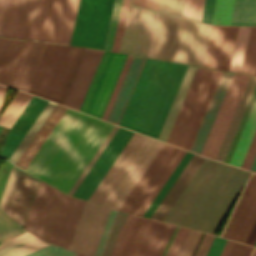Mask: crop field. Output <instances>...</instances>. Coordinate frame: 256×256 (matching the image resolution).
<instances>
[{
    "mask_svg": "<svg viewBox=\"0 0 256 256\" xmlns=\"http://www.w3.org/2000/svg\"><path fill=\"white\" fill-rule=\"evenodd\" d=\"M112 128L67 108L25 170L67 194Z\"/></svg>",
    "mask_w": 256,
    "mask_h": 256,
    "instance_id": "1",
    "label": "crop field"
},
{
    "mask_svg": "<svg viewBox=\"0 0 256 256\" xmlns=\"http://www.w3.org/2000/svg\"><path fill=\"white\" fill-rule=\"evenodd\" d=\"M249 175L205 158L164 221L214 234Z\"/></svg>",
    "mask_w": 256,
    "mask_h": 256,
    "instance_id": "2",
    "label": "crop field"
},
{
    "mask_svg": "<svg viewBox=\"0 0 256 256\" xmlns=\"http://www.w3.org/2000/svg\"><path fill=\"white\" fill-rule=\"evenodd\" d=\"M187 67L147 58L119 125L156 139Z\"/></svg>",
    "mask_w": 256,
    "mask_h": 256,
    "instance_id": "3",
    "label": "crop field"
},
{
    "mask_svg": "<svg viewBox=\"0 0 256 256\" xmlns=\"http://www.w3.org/2000/svg\"><path fill=\"white\" fill-rule=\"evenodd\" d=\"M103 51L86 49L64 105L79 109ZM128 55L104 51L80 111L101 117Z\"/></svg>",
    "mask_w": 256,
    "mask_h": 256,
    "instance_id": "4",
    "label": "crop field"
},
{
    "mask_svg": "<svg viewBox=\"0 0 256 256\" xmlns=\"http://www.w3.org/2000/svg\"><path fill=\"white\" fill-rule=\"evenodd\" d=\"M84 203L41 182L24 228L44 241L68 248Z\"/></svg>",
    "mask_w": 256,
    "mask_h": 256,
    "instance_id": "5",
    "label": "crop field"
},
{
    "mask_svg": "<svg viewBox=\"0 0 256 256\" xmlns=\"http://www.w3.org/2000/svg\"><path fill=\"white\" fill-rule=\"evenodd\" d=\"M210 27L159 12L149 57L201 66Z\"/></svg>",
    "mask_w": 256,
    "mask_h": 256,
    "instance_id": "6",
    "label": "crop field"
},
{
    "mask_svg": "<svg viewBox=\"0 0 256 256\" xmlns=\"http://www.w3.org/2000/svg\"><path fill=\"white\" fill-rule=\"evenodd\" d=\"M85 49L48 43L27 92L62 104Z\"/></svg>",
    "mask_w": 256,
    "mask_h": 256,
    "instance_id": "7",
    "label": "crop field"
},
{
    "mask_svg": "<svg viewBox=\"0 0 256 256\" xmlns=\"http://www.w3.org/2000/svg\"><path fill=\"white\" fill-rule=\"evenodd\" d=\"M46 44L0 37V82L27 90Z\"/></svg>",
    "mask_w": 256,
    "mask_h": 256,
    "instance_id": "8",
    "label": "crop field"
},
{
    "mask_svg": "<svg viewBox=\"0 0 256 256\" xmlns=\"http://www.w3.org/2000/svg\"><path fill=\"white\" fill-rule=\"evenodd\" d=\"M114 0H80L71 45L103 49Z\"/></svg>",
    "mask_w": 256,
    "mask_h": 256,
    "instance_id": "9",
    "label": "crop field"
},
{
    "mask_svg": "<svg viewBox=\"0 0 256 256\" xmlns=\"http://www.w3.org/2000/svg\"><path fill=\"white\" fill-rule=\"evenodd\" d=\"M79 0H41L32 40L69 44Z\"/></svg>",
    "mask_w": 256,
    "mask_h": 256,
    "instance_id": "10",
    "label": "crop field"
},
{
    "mask_svg": "<svg viewBox=\"0 0 256 256\" xmlns=\"http://www.w3.org/2000/svg\"><path fill=\"white\" fill-rule=\"evenodd\" d=\"M39 182L40 180L13 166L0 200L1 211L23 226Z\"/></svg>",
    "mask_w": 256,
    "mask_h": 256,
    "instance_id": "11",
    "label": "crop field"
},
{
    "mask_svg": "<svg viewBox=\"0 0 256 256\" xmlns=\"http://www.w3.org/2000/svg\"><path fill=\"white\" fill-rule=\"evenodd\" d=\"M214 71L200 67L197 68L166 141L167 143L183 147Z\"/></svg>",
    "mask_w": 256,
    "mask_h": 256,
    "instance_id": "12",
    "label": "crop field"
},
{
    "mask_svg": "<svg viewBox=\"0 0 256 256\" xmlns=\"http://www.w3.org/2000/svg\"><path fill=\"white\" fill-rule=\"evenodd\" d=\"M157 14L130 5L119 52L148 57Z\"/></svg>",
    "mask_w": 256,
    "mask_h": 256,
    "instance_id": "13",
    "label": "crop field"
},
{
    "mask_svg": "<svg viewBox=\"0 0 256 256\" xmlns=\"http://www.w3.org/2000/svg\"><path fill=\"white\" fill-rule=\"evenodd\" d=\"M179 152L164 144L119 209L136 214Z\"/></svg>",
    "mask_w": 256,
    "mask_h": 256,
    "instance_id": "14",
    "label": "crop field"
},
{
    "mask_svg": "<svg viewBox=\"0 0 256 256\" xmlns=\"http://www.w3.org/2000/svg\"><path fill=\"white\" fill-rule=\"evenodd\" d=\"M249 77L234 75L200 154L215 158Z\"/></svg>",
    "mask_w": 256,
    "mask_h": 256,
    "instance_id": "15",
    "label": "crop field"
},
{
    "mask_svg": "<svg viewBox=\"0 0 256 256\" xmlns=\"http://www.w3.org/2000/svg\"><path fill=\"white\" fill-rule=\"evenodd\" d=\"M109 210L86 202L68 249L93 256Z\"/></svg>",
    "mask_w": 256,
    "mask_h": 256,
    "instance_id": "16",
    "label": "crop field"
},
{
    "mask_svg": "<svg viewBox=\"0 0 256 256\" xmlns=\"http://www.w3.org/2000/svg\"><path fill=\"white\" fill-rule=\"evenodd\" d=\"M256 219V175L248 181L222 236L245 242Z\"/></svg>",
    "mask_w": 256,
    "mask_h": 256,
    "instance_id": "17",
    "label": "crop field"
},
{
    "mask_svg": "<svg viewBox=\"0 0 256 256\" xmlns=\"http://www.w3.org/2000/svg\"><path fill=\"white\" fill-rule=\"evenodd\" d=\"M162 144L163 142L148 138L103 205L118 209Z\"/></svg>",
    "mask_w": 256,
    "mask_h": 256,
    "instance_id": "18",
    "label": "crop field"
},
{
    "mask_svg": "<svg viewBox=\"0 0 256 256\" xmlns=\"http://www.w3.org/2000/svg\"><path fill=\"white\" fill-rule=\"evenodd\" d=\"M132 135L133 132L119 127L73 196L87 200Z\"/></svg>",
    "mask_w": 256,
    "mask_h": 256,
    "instance_id": "19",
    "label": "crop field"
},
{
    "mask_svg": "<svg viewBox=\"0 0 256 256\" xmlns=\"http://www.w3.org/2000/svg\"><path fill=\"white\" fill-rule=\"evenodd\" d=\"M237 28L212 25L202 66L228 71Z\"/></svg>",
    "mask_w": 256,
    "mask_h": 256,
    "instance_id": "20",
    "label": "crop field"
},
{
    "mask_svg": "<svg viewBox=\"0 0 256 256\" xmlns=\"http://www.w3.org/2000/svg\"><path fill=\"white\" fill-rule=\"evenodd\" d=\"M146 140L147 137L134 133L91 196L88 198L89 201L102 204Z\"/></svg>",
    "mask_w": 256,
    "mask_h": 256,
    "instance_id": "21",
    "label": "crop field"
},
{
    "mask_svg": "<svg viewBox=\"0 0 256 256\" xmlns=\"http://www.w3.org/2000/svg\"><path fill=\"white\" fill-rule=\"evenodd\" d=\"M46 104L47 101L33 96L6 137L5 144L0 150L1 156L8 159Z\"/></svg>",
    "mask_w": 256,
    "mask_h": 256,
    "instance_id": "22",
    "label": "crop field"
},
{
    "mask_svg": "<svg viewBox=\"0 0 256 256\" xmlns=\"http://www.w3.org/2000/svg\"><path fill=\"white\" fill-rule=\"evenodd\" d=\"M233 75L234 74L231 73H222L193 145L190 149L191 151L198 154L200 153Z\"/></svg>",
    "mask_w": 256,
    "mask_h": 256,
    "instance_id": "23",
    "label": "crop field"
},
{
    "mask_svg": "<svg viewBox=\"0 0 256 256\" xmlns=\"http://www.w3.org/2000/svg\"><path fill=\"white\" fill-rule=\"evenodd\" d=\"M145 59L146 58L143 57H133L122 85L112 105V108L109 112V115L106 119L107 121L117 125L119 124Z\"/></svg>",
    "mask_w": 256,
    "mask_h": 256,
    "instance_id": "24",
    "label": "crop field"
},
{
    "mask_svg": "<svg viewBox=\"0 0 256 256\" xmlns=\"http://www.w3.org/2000/svg\"><path fill=\"white\" fill-rule=\"evenodd\" d=\"M203 160L204 157L194 154L151 216L152 219L163 221Z\"/></svg>",
    "mask_w": 256,
    "mask_h": 256,
    "instance_id": "25",
    "label": "crop field"
},
{
    "mask_svg": "<svg viewBox=\"0 0 256 256\" xmlns=\"http://www.w3.org/2000/svg\"><path fill=\"white\" fill-rule=\"evenodd\" d=\"M65 110L66 107L56 105L19 160L16 162V165L25 169Z\"/></svg>",
    "mask_w": 256,
    "mask_h": 256,
    "instance_id": "26",
    "label": "crop field"
},
{
    "mask_svg": "<svg viewBox=\"0 0 256 256\" xmlns=\"http://www.w3.org/2000/svg\"><path fill=\"white\" fill-rule=\"evenodd\" d=\"M47 245L49 244L25 231L22 234L0 244V256H18L37 251Z\"/></svg>",
    "mask_w": 256,
    "mask_h": 256,
    "instance_id": "27",
    "label": "crop field"
},
{
    "mask_svg": "<svg viewBox=\"0 0 256 256\" xmlns=\"http://www.w3.org/2000/svg\"><path fill=\"white\" fill-rule=\"evenodd\" d=\"M255 85L256 77L251 76L215 159L224 160Z\"/></svg>",
    "mask_w": 256,
    "mask_h": 256,
    "instance_id": "28",
    "label": "crop field"
},
{
    "mask_svg": "<svg viewBox=\"0 0 256 256\" xmlns=\"http://www.w3.org/2000/svg\"><path fill=\"white\" fill-rule=\"evenodd\" d=\"M169 227L170 224L152 220L139 244L135 256H155L157 248Z\"/></svg>",
    "mask_w": 256,
    "mask_h": 256,
    "instance_id": "29",
    "label": "crop field"
},
{
    "mask_svg": "<svg viewBox=\"0 0 256 256\" xmlns=\"http://www.w3.org/2000/svg\"><path fill=\"white\" fill-rule=\"evenodd\" d=\"M197 67L189 66L157 139L166 141Z\"/></svg>",
    "mask_w": 256,
    "mask_h": 256,
    "instance_id": "30",
    "label": "crop field"
},
{
    "mask_svg": "<svg viewBox=\"0 0 256 256\" xmlns=\"http://www.w3.org/2000/svg\"><path fill=\"white\" fill-rule=\"evenodd\" d=\"M255 131H256V102L248 118V121L244 127V130L241 134V137L238 141V144L235 148L232 158L229 162L230 164H233L239 167L241 166Z\"/></svg>",
    "mask_w": 256,
    "mask_h": 256,
    "instance_id": "31",
    "label": "crop field"
},
{
    "mask_svg": "<svg viewBox=\"0 0 256 256\" xmlns=\"http://www.w3.org/2000/svg\"><path fill=\"white\" fill-rule=\"evenodd\" d=\"M40 0H25L16 38L31 40Z\"/></svg>",
    "mask_w": 256,
    "mask_h": 256,
    "instance_id": "32",
    "label": "crop field"
},
{
    "mask_svg": "<svg viewBox=\"0 0 256 256\" xmlns=\"http://www.w3.org/2000/svg\"><path fill=\"white\" fill-rule=\"evenodd\" d=\"M231 24H256V0H234Z\"/></svg>",
    "mask_w": 256,
    "mask_h": 256,
    "instance_id": "33",
    "label": "crop field"
},
{
    "mask_svg": "<svg viewBox=\"0 0 256 256\" xmlns=\"http://www.w3.org/2000/svg\"><path fill=\"white\" fill-rule=\"evenodd\" d=\"M151 220L137 217L124 245L120 256H134L138 244L149 226Z\"/></svg>",
    "mask_w": 256,
    "mask_h": 256,
    "instance_id": "34",
    "label": "crop field"
},
{
    "mask_svg": "<svg viewBox=\"0 0 256 256\" xmlns=\"http://www.w3.org/2000/svg\"><path fill=\"white\" fill-rule=\"evenodd\" d=\"M24 0H9L1 36L15 38Z\"/></svg>",
    "mask_w": 256,
    "mask_h": 256,
    "instance_id": "35",
    "label": "crop field"
},
{
    "mask_svg": "<svg viewBox=\"0 0 256 256\" xmlns=\"http://www.w3.org/2000/svg\"><path fill=\"white\" fill-rule=\"evenodd\" d=\"M52 103L48 102V104L45 106V108L43 109L41 114L38 116L36 121L33 123L31 128L29 129V131L26 133L24 138L21 140L19 145L16 147V149L14 150L12 155L9 157L8 160H10L12 163L15 164V162L20 157V155L22 154L24 149L27 147V145L29 144L31 139L34 137V135L36 134L38 129L41 127V125L43 124L45 119L48 117V115L50 114L52 109L55 107V104H52Z\"/></svg>",
    "mask_w": 256,
    "mask_h": 256,
    "instance_id": "36",
    "label": "crop field"
},
{
    "mask_svg": "<svg viewBox=\"0 0 256 256\" xmlns=\"http://www.w3.org/2000/svg\"><path fill=\"white\" fill-rule=\"evenodd\" d=\"M221 71H215V73H214V75H213V78H212V80H211V83H210V85H209V87H208V90H207V92H206V95H205V97H204V99H203V102H202V104H201V107H200V109H199V111H198V114H197V116H196V119H195V121H194V123H193V126H192V128H191V131H190V133H189V135H188V138H187V140H186V143H185V145H184V149H190V147H191V145H192V142H193V140H194V137H195V135H196V133H197V130H198V128H199V125H200V123H201V121H202V118H203V116H204V113H205V111H206V109H207V106H208V104H209V101H210V99H211V97H212V94H213V92H214V89H215V87H216V85H217V82H218V80H219V77H220V75H221Z\"/></svg>",
    "mask_w": 256,
    "mask_h": 256,
    "instance_id": "37",
    "label": "crop field"
},
{
    "mask_svg": "<svg viewBox=\"0 0 256 256\" xmlns=\"http://www.w3.org/2000/svg\"><path fill=\"white\" fill-rule=\"evenodd\" d=\"M30 99L31 96L18 92L0 117V125L10 128Z\"/></svg>",
    "mask_w": 256,
    "mask_h": 256,
    "instance_id": "38",
    "label": "crop field"
},
{
    "mask_svg": "<svg viewBox=\"0 0 256 256\" xmlns=\"http://www.w3.org/2000/svg\"><path fill=\"white\" fill-rule=\"evenodd\" d=\"M250 27L239 26L229 71L239 73Z\"/></svg>",
    "mask_w": 256,
    "mask_h": 256,
    "instance_id": "39",
    "label": "crop field"
},
{
    "mask_svg": "<svg viewBox=\"0 0 256 256\" xmlns=\"http://www.w3.org/2000/svg\"><path fill=\"white\" fill-rule=\"evenodd\" d=\"M256 65V27H251L240 73H254Z\"/></svg>",
    "mask_w": 256,
    "mask_h": 256,
    "instance_id": "40",
    "label": "crop field"
},
{
    "mask_svg": "<svg viewBox=\"0 0 256 256\" xmlns=\"http://www.w3.org/2000/svg\"><path fill=\"white\" fill-rule=\"evenodd\" d=\"M192 156H193V153L187 152V154L184 156V158L182 159L180 164L177 166L175 171L172 173L170 178L167 180V182L165 183L163 188L160 190L158 195L155 197L153 202L150 204V206L148 207L146 212L143 214L144 217L150 218V216L152 215V213L154 212V210L156 209V207L158 206V204L160 203V201L162 200V198L164 197V195L166 194V192L168 191L170 186L173 184V182L175 181L177 176L180 174V172L182 171V169L185 167V165L188 163V161L190 160V158Z\"/></svg>",
    "mask_w": 256,
    "mask_h": 256,
    "instance_id": "41",
    "label": "crop field"
},
{
    "mask_svg": "<svg viewBox=\"0 0 256 256\" xmlns=\"http://www.w3.org/2000/svg\"><path fill=\"white\" fill-rule=\"evenodd\" d=\"M233 0H215L213 24H230Z\"/></svg>",
    "mask_w": 256,
    "mask_h": 256,
    "instance_id": "42",
    "label": "crop field"
},
{
    "mask_svg": "<svg viewBox=\"0 0 256 256\" xmlns=\"http://www.w3.org/2000/svg\"><path fill=\"white\" fill-rule=\"evenodd\" d=\"M186 151L181 150V152L178 154V156L176 157V159L174 160V162L171 164V166L169 167V169L166 171V173L164 174V176L161 178V180L159 181V183L157 184V186L154 188V190L152 191V193L149 195V197L147 198V200L145 201V203L142 205V207L140 208V210L138 211L137 215L142 216V214L145 212V210L147 209V207L149 206V204L152 202V200L154 199V197L157 195V193L159 192V190L162 188V186L164 185V183L166 182V180L169 178V176L171 175V173L174 171V169L176 168V166L179 164V162L181 161V159L183 158V156L185 155Z\"/></svg>",
    "mask_w": 256,
    "mask_h": 256,
    "instance_id": "43",
    "label": "crop field"
},
{
    "mask_svg": "<svg viewBox=\"0 0 256 256\" xmlns=\"http://www.w3.org/2000/svg\"><path fill=\"white\" fill-rule=\"evenodd\" d=\"M202 234V232L189 229L177 256H192Z\"/></svg>",
    "mask_w": 256,
    "mask_h": 256,
    "instance_id": "44",
    "label": "crop field"
},
{
    "mask_svg": "<svg viewBox=\"0 0 256 256\" xmlns=\"http://www.w3.org/2000/svg\"><path fill=\"white\" fill-rule=\"evenodd\" d=\"M123 0H115L114 7H113V12L110 20V25L108 29V34L106 38V43H105V50L111 51L113 41H114V36L117 28V23L121 11V6H122Z\"/></svg>",
    "mask_w": 256,
    "mask_h": 256,
    "instance_id": "45",
    "label": "crop field"
},
{
    "mask_svg": "<svg viewBox=\"0 0 256 256\" xmlns=\"http://www.w3.org/2000/svg\"><path fill=\"white\" fill-rule=\"evenodd\" d=\"M126 216H127V213L118 211L102 256H110V253L112 251L113 245L116 240V237L118 235V232H119Z\"/></svg>",
    "mask_w": 256,
    "mask_h": 256,
    "instance_id": "46",
    "label": "crop field"
},
{
    "mask_svg": "<svg viewBox=\"0 0 256 256\" xmlns=\"http://www.w3.org/2000/svg\"><path fill=\"white\" fill-rule=\"evenodd\" d=\"M203 3L204 0H184L182 16L201 21Z\"/></svg>",
    "mask_w": 256,
    "mask_h": 256,
    "instance_id": "47",
    "label": "crop field"
},
{
    "mask_svg": "<svg viewBox=\"0 0 256 256\" xmlns=\"http://www.w3.org/2000/svg\"><path fill=\"white\" fill-rule=\"evenodd\" d=\"M255 100H256V87H255L254 92L252 94V97H251V99L249 101V104H248V106L246 108V111H245V113L243 115V118H242L241 123H240V125L238 127V130H237V132L235 134V137H234V139L232 141V144H231L230 149H229V151L227 153V156H226V158L224 160L227 163L229 162V160L231 158V155H232V153L234 151V148H235V146L237 144V141H238V139L240 137V134H241V132L243 130V127H244V125L246 123V120H247V118H248V116L250 114V111H251V109L253 107V104H254Z\"/></svg>",
    "mask_w": 256,
    "mask_h": 256,
    "instance_id": "48",
    "label": "crop field"
},
{
    "mask_svg": "<svg viewBox=\"0 0 256 256\" xmlns=\"http://www.w3.org/2000/svg\"><path fill=\"white\" fill-rule=\"evenodd\" d=\"M135 219H136V216L130 215V214L128 215V217H127V219L117 237L116 243H115L113 251L111 253V256H119V253H120V250L124 243V240H125L127 234L129 233Z\"/></svg>",
    "mask_w": 256,
    "mask_h": 256,
    "instance_id": "49",
    "label": "crop field"
},
{
    "mask_svg": "<svg viewBox=\"0 0 256 256\" xmlns=\"http://www.w3.org/2000/svg\"><path fill=\"white\" fill-rule=\"evenodd\" d=\"M118 129L117 126H114V128L112 129V131L109 133V135L107 136V138L105 139V141L102 143V145L100 146V148L98 149V151L96 152V154L93 156V158L91 159V161L89 162V164L86 166V168L84 169V171L82 172V174L80 175V177L77 179V181L75 182V184L73 185V187L70 189V191L68 192V195H72V193L74 192V190L77 188V186L79 185V183L81 182V180L84 178V176L86 175V173L88 172V170L90 169V167L93 165V163L95 162V160L97 159V157L100 155V153L102 152V150L104 149V147L106 146V144L109 142V140L111 139V137L113 136V134L116 132V130Z\"/></svg>",
    "mask_w": 256,
    "mask_h": 256,
    "instance_id": "50",
    "label": "crop field"
},
{
    "mask_svg": "<svg viewBox=\"0 0 256 256\" xmlns=\"http://www.w3.org/2000/svg\"><path fill=\"white\" fill-rule=\"evenodd\" d=\"M116 212L117 211L114 210V209L110 210V213H109L107 221L105 223V226H104L103 232L101 234L99 243L97 245L96 251L94 253V256H101L103 248H104V245H105V242H106L108 234H109V231L111 229L114 217L116 215Z\"/></svg>",
    "mask_w": 256,
    "mask_h": 256,
    "instance_id": "51",
    "label": "crop field"
},
{
    "mask_svg": "<svg viewBox=\"0 0 256 256\" xmlns=\"http://www.w3.org/2000/svg\"><path fill=\"white\" fill-rule=\"evenodd\" d=\"M130 0H124L112 51L118 52Z\"/></svg>",
    "mask_w": 256,
    "mask_h": 256,
    "instance_id": "52",
    "label": "crop field"
},
{
    "mask_svg": "<svg viewBox=\"0 0 256 256\" xmlns=\"http://www.w3.org/2000/svg\"><path fill=\"white\" fill-rule=\"evenodd\" d=\"M183 0H161L159 10L181 16Z\"/></svg>",
    "mask_w": 256,
    "mask_h": 256,
    "instance_id": "53",
    "label": "crop field"
},
{
    "mask_svg": "<svg viewBox=\"0 0 256 256\" xmlns=\"http://www.w3.org/2000/svg\"><path fill=\"white\" fill-rule=\"evenodd\" d=\"M37 253L39 256H73L78 254L55 245H50L43 248L37 251Z\"/></svg>",
    "mask_w": 256,
    "mask_h": 256,
    "instance_id": "54",
    "label": "crop field"
},
{
    "mask_svg": "<svg viewBox=\"0 0 256 256\" xmlns=\"http://www.w3.org/2000/svg\"><path fill=\"white\" fill-rule=\"evenodd\" d=\"M132 57H133V56L129 55L128 58H127V60H126V63H125V65H124V67H123V70H122V72H121V74H120V77H119V79H118V81H117V84H116V86H115V88H114V91H113V93H112V95H111V98H110V100H109V102H108V105H107V107H106V109H105V112H104V114H103V116H102V119H104V120L106 119V117H107V115H108V112H109V110H110V108H111V105H112V103H113V101H114V98H115V96H116V94H117V91H118L120 85H121V82H122V80H123V78H124V75H125V73H126V71H127V68H128V66H129V64H130V61H131Z\"/></svg>",
    "mask_w": 256,
    "mask_h": 256,
    "instance_id": "55",
    "label": "crop field"
},
{
    "mask_svg": "<svg viewBox=\"0 0 256 256\" xmlns=\"http://www.w3.org/2000/svg\"><path fill=\"white\" fill-rule=\"evenodd\" d=\"M188 229H184L182 227H180L176 237L174 238L168 252H167V255L166 256H176L177 254V251L182 243V240L186 234Z\"/></svg>",
    "mask_w": 256,
    "mask_h": 256,
    "instance_id": "56",
    "label": "crop field"
},
{
    "mask_svg": "<svg viewBox=\"0 0 256 256\" xmlns=\"http://www.w3.org/2000/svg\"><path fill=\"white\" fill-rule=\"evenodd\" d=\"M255 155H256V133L254 135L252 143L249 147V150L246 154V157H245L244 162L241 167L249 170L252 165V162L255 158Z\"/></svg>",
    "mask_w": 256,
    "mask_h": 256,
    "instance_id": "57",
    "label": "crop field"
},
{
    "mask_svg": "<svg viewBox=\"0 0 256 256\" xmlns=\"http://www.w3.org/2000/svg\"><path fill=\"white\" fill-rule=\"evenodd\" d=\"M215 236L205 234L195 256H205Z\"/></svg>",
    "mask_w": 256,
    "mask_h": 256,
    "instance_id": "58",
    "label": "crop field"
},
{
    "mask_svg": "<svg viewBox=\"0 0 256 256\" xmlns=\"http://www.w3.org/2000/svg\"><path fill=\"white\" fill-rule=\"evenodd\" d=\"M225 242L226 239L216 236L206 256H219Z\"/></svg>",
    "mask_w": 256,
    "mask_h": 256,
    "instance_id": "59",
    "label": "crop field"
},
{
    "mask_svg": "<svg viewBox=\"0 0 256 256\" xmlns=\"http://www.w3.org/2000/svg\"><path fill=\"white\" fill-rule=\"evenodd\" d=\"M213 6H214V0H205L202 21L211 23Z\"/></svg>",
    "mask_w": 256,
    "mask_h": 256,
    "instance_id": "60",
    "label": "crop field"
},
{
    "mask_svg": "<svg viewBox=\"0 0 256 256\" xmlns=\"http://www.w3.org/2000/svg\"><path fill=\"white\" fill-rule=\"evenodd\" d=\"M160 0H133L132 4L158 10Z\"/></svg>",
    "mask_w": 256,
    "mask_h": 256,
    "instance_id": "61",
    "label": "crop field"
},
{
    "mask_svg": "<svg viewBox=\"0 0 256 256\" xmlns=\"http://www.w3.org/2000/svg\"><path fill=\"white\" fill-rule=\"evenodd\" d=\"M175 226L174 225H171L170 229L168 230L167 234L165 235L164 239L162 240L160 246H159V249L157 251V254L156 256H161V253L170 237V235L172 234L173 230H174Z\"/></svg>",
    "mask_w": 256,
    "mask_h": 256,
    "instance_id": "62",
    "label": "crop field"
},
{
    "mask_svg": "<svg viewBox=\"0 0 256 256\" xmlns=\"http://www.w3.org/2000/svg\"><path fill=\"white\" fill-rule=\"evenodd\" d=\"M7 3H8V0H0V34L2 30Z\"/></svg>",
    "mask_w": 256,
    "mask_h": 256,
    "instance_id": "63",
    "label": "crop field"
},
{
    "mask_svg": "<svg viewBox=\"0 0 256 256\" xmlns=\"http://www.w3.org/2000/svg\"><path fill=\"white\" fill-rule=\"evenodd\" d=\"M243 246V244L235 242L228 256H239Z\"/></svg>",
    "mask_w": 256,
    "mask_h": 256,
    "instance_id": "64",
    "label": "crop field"
},
{
    "mask_svg": "<svg viewBox=\"0 0 256 256\" xmlns=\"http://www.w3.org/2000/svg\"><path fill=\"white\" fill-rule=\"evenodd\" d=\"M256 241V221L245 243L254 245Z\"/></svg>",
    "mask_w": 256,
    "mask_h": 256,
    "instance_id": "65",
    "label": "crop field"
},
{
    "mask_svg": "<svg viewBox=\"0 0 256 256\" xmlns=\"http://www.w3.org/2000/svg\"><path fill=\"white\" fill-rule=\"evenodd\" d=\"M233 243V241L228 240L220 256H227Z\"/></svg>",
    "mask_w": 256,
    "mask_h": 256,
    "instance_id": "66",
    "label": "crop field"
},
{
    "mask_svg": "<svg viewBox=\"0 0 256 256\" xmlns=\"http://www.w3.org/2000/svg\"><path fill=\"white\" fill-rule=\"evenodd\" d=\"M6 89H7L6 87L0 86V106H1V103L3 101Z\"/></svg>",
    "mask_w": 256,
    "mask_h": 256,
    "instance_id": "67",
    "label": "crop field"
},
{
    "mask_svg": "<svg viewBox=\"0 0 256 256\" xmlns=\"http://www.w3.org/2000/svg\"><path fill=\"white\" fill-rule=\"evenodd\" d=\"M246 246H247V245L244 246V248H243V250H242L240 256L242 255V253H243V251H244V249H245ZM247 247H248V249L246 248L247 251L245 250L246 253L244 252V253H245V255L243 254L244 256H249V254H250V252H251V250H252V248H253V247H251V246H247Z\"/></svg>",
    "mask_w": 256,
    "mask_h": 256,
    "instance_id": "68",
    "label": "crop field"
},
{
    "mask_svg": "<svg viewBox=\"0 0 256 256\" xmlns=\"http://www.w3.org/2000/svg\"><path fill=\"white\" fill-rule=\"evenodd\" d=\"M250 170L256 173V158H255V160L253 162V165H252Z\"/></svg>",
    "mask_w": 256,
    "mask_h": 256,
    "instance_id": "69",
    "label": "crop field"
},
{
    "mask_svg": "<svg viewBox=\"0 0 256 256\" xmlns=\"http://www.w3.org/2000/svg\"><path fill=\"white\" fill-rule=\"evenodd\" d=\"M22 256H37V255L35 254V252H33V253H29V254L22 255Z\"/></svg>",
    "mask_w": 256,
    "mask_h": 256,
    "instance_id": "70",
    "label": "crop field"
},
{
    "mask_svg": "<svg viewBox=\"0 0 256 256\" xmlns=\"http://www.w3.org/2000/svg\"><path fill=\"white\" fill-rule=\"evenodd\" d=\"M252 256H256V249H255V251H254V253H253V255Z\"/></svg>",
    "mask_w": 256,
    "mask_h": 256,
    "instance_id": "71",
    "label": "crop field"
},
{
    "mask_svg": "<svg viewBox=\"0 0 256 256\" xmlns=\"http://www.w3.org/2000/svg\"><path fill=\"white\" fill-rule=\"evenodd\" d=\"M76 256H84V255H82V254H78V255H76Z\"/></svg>",
    "mask_w": 256,
    "mask_h": 256,
    "instance_id": "72",
    "label": "crop field"
},
{
    "mask_svg": "<svg viewBox=\"0 0 256 256\" xmlns=\"http://www.w3.org/2000/svg\"><path fill=\"white\" fill-rule=\"evenodd\" d=\"M254 75H256V69H255V73H254Z\"/></svg>",
    "mask_w": 256,
    "mask_h": 256,
    "instance_id": "73",
    "label": "crop field"
},
{
    "mask_svg": "<svg viewBox=\"0 0 256 256\" xmlns=\"http://www.w3.org/2000/svg\"><path fill=\"white\" fill-rule=\"evenodd\" d=\"M255 246H256V243H255Z\"/></svg>",
    "mask_w": 256,
    "mask_h": 256,
    "instance_id": "74",
    "label": "crop field"
},
{
    "mask_svg": "<svg viewBox=\"0 0 256 256\" xmlns=\"http://www.w3.org/2000/svg\"><path fill=\"white\" fill-rule=\"evenodd\" d=\"M0 129H1V127H0Z\"/></svg>",
    "mask_w": 256,
    "mask_h": 256,
    "instance_id": "75",
    "label": "crop field"
}]
</instances>
